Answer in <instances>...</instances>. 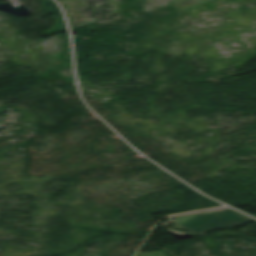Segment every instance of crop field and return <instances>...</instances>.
<instances>
[{
	"label": "crop field",
	"instance_id": "crop-field-1",
	"mask_svg": "<svg viewBox=\"0 0 256 256\" xmlns=\"http://www.w3.org/2000/svg\"><path fill=\"white\" fill-rule=\"evenodd\" d=\"M177 219L172 224L188 230L194 235H202L203 233L213 229H225L256 220L243 216L242 213L232 210L231 208H221L186 215L173 216Z\"/></svg>",
	"mask_w": 256,
	"mask_h": 256
}]
</instances>
